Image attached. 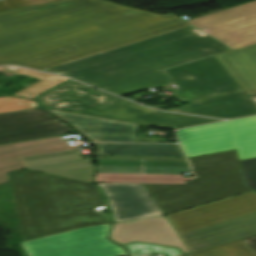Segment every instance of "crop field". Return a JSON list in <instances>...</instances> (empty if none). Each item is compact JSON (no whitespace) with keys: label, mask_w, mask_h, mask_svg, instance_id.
I'll return each instance as SVG.
<instances>
[{"label":"crop field","mask_w":256,"mask_h":256,"mask_svg":"<svg viewBox=\"0 0 256 256\" xmlns=\"http://www.w3.org/2000/svg\"><path fill=\"white\" fill-rule=\"evenodd\" d=\"M128 249L130 256H142L144 254L162 253L164 256H174L180 254V252L173 247H158L140 243H133L125 245Z\"/></svg>","instance_id":"crop-field-21"},{"label":"crop field","mask_w":256,"mask_h":256,"mask_svg":"<svg viewBox=\"0 0 256 256\" xmlns=\"http://www.w3.org/2000/svg\"><path fill=\"white\" fill-rule=\"evenodd\" d=\"M38 107L36 102L14 97H0V113L32 109Z\"/></svg>","instance_id":"crop-field-22"},{"label":"crop field","mask_w":256,"mask_h":256,"mask_svg":"<svg viewBox=\"0 0 256 256\" xmlns=\"http://www.w3.org/2000/svg\"><path fill=\"white\" fill-rule=\"evenodd\" d=\"M51 110V109H50ZM94 141L134 142L138 124L51 110Z\"/></svg>","instance_id":"crop-field-14"},{"label":"crop field","mask_w":256,"mask_h":256,"mask_svg":"<svg viewBox=\"0 0 256 256\" xmlns=\"http://www.w3.org/2000/svg\"><path fill=\"white\" fill-rule=\"evenodd\" d=\"M189 26L103 0H64L0 13V65L43 70Z\"/></svg>","instance_id":"crop-field-1"},{"label":"crop field","mask_w":256,"mask_h":256,"mask_svg":"<svg viewBox=\"0 0 256 256\" xmlns=\"http://www.w3.org/2000/svg\"><path fill=\"white\" fill-rule=\"evenodd\" d=\"M216 57L247 95L256 94V44Z\"/></svg>","instance_id":"crop-field-16"},{"label":"crop field","mask_w":256,"mask_h":256,"mask_svg":"<svg viewBox=\"0 0 256 256\" xmlns=\"http://www.w3.org/2000/svg\"><path fill=\"white\" fill-rule=\"evenodd\" d=\"M186 22L231 50L251 45L256 43V0Z\"/></svg>","instance_id":"crop-field-11"},{"label":"crop field","mask_w":256,"mask_h":256,"mask_svg":"<svg viewBox=\"0 0 256 256\" xmlns=\"http://www.w3.org/2000/svg\"><path fill=\"white\" fill-rule=\"evenodd\" d=\"M94 144L97 155L184 157L178 145Z\"/></svg>","instance_id":"crop-field-17"},{"label":"crop field","mask_w":256,"mask_h":256,"mask_svg":"<svg viewBox=\"0 0 256 256\" xmlns=\"http://www.w3.org/2000/svg\"><path fill=\"white\" fill-rule=\"evenodd\" d=\"M8 67H0V72L3 73H13V74H26L32 77H36L41 79V81L15 93L14 95H19V96H24V97H29L32 98L68 79L54 76V75H49V74H44V73H39V72H34V71H29V70H24L18 68L16 71L9 70L7 69Z\"/></svg>","instance_id":"crop-field-18"},{"label":"crop field","mask_w":256,"mask_h":256,"mask_svg":"<svg viewBox=\"0 0 256 256\" xmlns=\"http://www.w3.org/2000/svg\"><path fill=\"white\" fill-rule=\"evenodd\" d=\"M35 99L46 108L88 114L120 121L174 129L219 120L148 109L100 90L68 81Z\"/></svg>","instance_id":"crop-field-6"},{"label":"crop field","mask_w":256,"mask_h":256,"mask_svg":"<svg viewBox=\"0 0 256 256\" xmlns=\"http://www.w3.org/2000/svg\"><path fill=\"white\" fill-rule=\"evenodd\" d=\"M24 241L111 223L94 209L104 202L92 183L29 169L9 173Z\"/></svg>","instance_id":"crop-field-4"},{"label":"crop field","mask_w":256,"mask_h":256,"mask_svg":"<svg viewBox=\"0 0 256 256\" xmlns=\"http://www.w3.org/2000/svg\"><path fill=\"white\" fill-rule=\"evenodd\" d=\"M187 157L237 149L239 160L256 157V116L176 131Z\"/></svg>","instance_id":"crop-field-8"},{"label":"crop field","mask_w":256,"mask_h":256,"mask_svg":"<svg viewBox=\"0 0 256 256\" xmlns=\"http://www.w3.org/2000/svg\"><path fill=\"white\" fill-rule=\"evenodd\" d=\"M166 71L180 88L174 92L180 101H194L242 89L215 56Z\"/></svg>","instance_id":"crop-field-10"},{"label":"crop field","mask_w":256,"mask_h":256,"mask_svg":"<svg viewBox=\"0 0 256 256\" xmlns=\"http://www.w3.org/2000/svg\"><path fill=\"white\" fill-rule=\"evenodd\" d=\"M243 242L241 240L232 241L187 256H256V253Z\"/></svg>","instance_id":"crop-field-19"},{"label":"crop field","mask_w":256,"mask_h":256,"mask_svg":"<svg viewBox=\"0 0 256 256\" xmlns=\"http://www.w3.org/2000/svg\"><path fill=\"white\" fill-rule=\"evenodd\" d=\"M72 132L40 108L0 114V143Z\"/></svg>","instance_id":"crop-field-12"},{"label":"crop field","mask_w":256,"mask_h":256,"mask_svg":"<svg viewBox=\"0 0 256 256\" xmlns=\"http://www.w3.org/2000/svg\"><path fill=\"white\" fill-rule=\"evenodd\" d=\"M58 0H1L0 1V12L14 9V8H21L26 6H32L42 3H48Z\"/></svg>","instance_id":"crop-field-23"},{"label":"crop field","mask_w":256,"mask_h":256,"mask_svg":"<svg viewBox=\"0 0 256 256\" xmlns=\"http://www.w3.org/2000/svg\"><path fill=\"white\" fill-rule=\"evenodd\" d=\"M181 256H183V255H181Z\"/></svg>","instance_id":"crop-field-25"},{"label":"crop field","mask_w":256,"mask_h":256,"mask_svg":"<svg viewBox=\"0 0 256 256\" xmlns=\"http://www.w3.org/2000/svg\"><path fill=\"white\" fill-rule=\"evenodd\" d=\"M108 225L63 232L20 243L28 256H124L125 249L106 239Z\"/></svg>","instance_id":"crop-field-9"},{"label":"crop field","mask_w":256,"mask_h":256,"mask_svg":"<svg viewBox=\"0 0 256 256\" xmlns=\"http://www.w3.org/2000/svg\"><path fill=\"white\" fill-rule=\"evenodd\" d=\"M29 168L63 177L89 181L91 159L81 160L76 147L58 136L0 145V184L7 172Z\"/></svg>","instance_id":"crop-field-7"},{"label":"crop field","mask_w":256,"mask_h":256,"mask_svg":"<svg viewBox=\"0 0 256 256\" xmlns=\"http://www.w3.org/2000/svg\"><path fill=\"white\" fill-rule=\"evenodd\" d=\"M115 222L163 215L142 184L98 183Z\"/></svg>","instance_id":"crop-field-13"},{"label":"crop field","mask_w":256,"mask_h":256,"mask_svg":"<svg viewBox=\"0 0 256 256\" xmlns=\"http://www.w3.org/2000/svg\"><path fill=\"white\" fill-rule=\"evenodd\" d=\"M185 158L96 157L95 182L142 183L164 215L249 191L244 186L236 150Z\"/></svg>","instance_id":"crop-field-2"},{"label":"crop field","mask_w":256,"mask_h":256,"mask_svg":"<svg viewBox=\"0 0 256 256\" xmlns=\"http://www.w3.org/2000/svg\"><path fill=\"white\" fill-rule=\"evenodd\" d=\"M246 186L256 190V158L240 161ZM256 252V235L241 239Z\"/></svg>","instance_id":"crop-field-20"},{"label":"crop field","mask_w":256,"mask_h":256,"mask_svg":"<svg viewBox=\"0 0 256 256\" xmlns=\"http://www.w3.org/2000/svg\"><path fill=\"white\" fill-rule=\"evenodd\" d=\"M167 218L192 252L255 235L256 191L167 215Z\"/></svg>","instance_id":"crop-field-5"},{"label":"crop field","mask_w":256,"mask_h":256,"mask_svg":"<svg viewBox=\"0 0 256 256\" xmlns=\"http://www.w3.org/2000/svg\"><path fill=\"white\" fill-rule=\"evenodd\" d=\"M194 115L234 118L256 114V108L241 92L227 94L172 109Z\"/></svg>","instance_id":"crop-field-15"},{"label":"crop field","mask_w":256,"mask_h":256,"mask_svg":"<svg viewBox=\"0 0 256 256\" xmlns=\"http://www.w3.org/2000/svg\"><path fill=\"white\" fill-rule=\"evenodd\" d=\"M226 50L189 26L44 71L124 96L149 87H167L171 79L164 68Z\"/></svg>","instance_id":"crop-field-3"},{"label":"crop field","mask_w":256,"mask_h":256,"mask_svg":"<svg viewBox=\"0 0 256 256\" xmlns=\"http://www.w3.org/2000/svg\"><path fill=\"white\" fill-rule=\"evenodd\" d=\"M251 99H252V101L256 104V95H250L249 96Z\"/></svg>","instance_id":"crop-field-24"}]
</instances>
